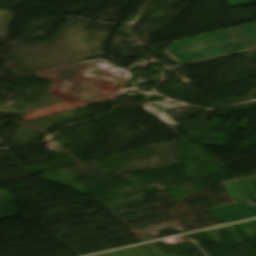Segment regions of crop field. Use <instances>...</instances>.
<instances>
[{
  "label": "crop field",
  "mask_w": 256,
  "mask_h": 256,
  "mask_svg": "<svg viewBox=\"0 0 256 256\" xmlns=\"http://www.w3.org/2000/svg\"><path fill=\"white\" fill-rule=\"evenodd\" d=\"M57 83L53 89L83 103L112 98L124 79L90 62L38 72Z\"/></svg>",
  "instance_id": "crop-field-1"
},
{
  "label": "crop field",
  "mask_w": 256,
  "mask_h": 256,
  "mask_svg": "<svg viewBox=\"0 0 256 256\" xmlns=\"http://www.w3.org/2000/svg\"><path fill=\"white\" fill-rule=\"evenodd\" d=\"M256 48V23L175 41L166 52L180 64Z\"/></svg>",
  "instance_id": "crop-field-2"
},
{
  "label": "crop field",
  "mask_w": 256,
  "mask_h": 256,
  "mask_svg": "<svg viewBox=\"0 0 256 256\" xmlns=\"http://www.w3.org/2000/svg\"><path fill=\"white\" fill-rule=\"evenodd\" d=\"M206 212L220 219L221 221L228 223L237 220L256 217V205L250 204H234L225 207L206 210Z\"/></svg>",
  "instance_id": "crop-field-3"
},
{
  "label": "crop field",
  "mask_w": 256,
  "mask_h": 256,
  "mask_svg": "<svg viewBox=\"0 0 256 256\" xmlns=\"http://www.w3.org/2000/svg\"><path fill=\"white\" fill-rule=\"evenodd\" d=\"M225 187L234 201L256 202V181L254 178L231 182Z\"/></svg>",
  "instance_id": "crop-field-4"
},
{
  "label": "crop field",
  "mask_w": 256,
  "mask_h": 256,
  "mask_svg": "<svg viewBox=\"0 0 256 256\" xmlns=\"http://www.w3.org/2000/svg\"><path fill=\"white\" fill-rule=\"evenodd\" d=\"M232 7L255 4V0H226Z\"/></svg>",
  "instance_id": "crop-field-5"
},
{
  "label": "crop field",
  "mask_w": 256,
  "mask_h": 256,
  "mask_svg": "<svg viewBox=\"0 0 256 256\" xmlns=\"http://www.w3.org/2000/svg\"><path fill=\"white\" fill-rule=\"evenodd\" d=\"M252 223H254L256 225V219L255 220H251Z\"/></svg>",
  "instance_id": "crop-field-6"
}]
</instances>
